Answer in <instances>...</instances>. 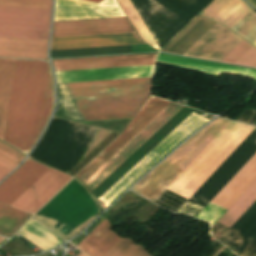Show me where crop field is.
I'll return each mask as SVG.
<instances>
[{
    "instance_id": "8a807250",
    "label": "crop field",
    "mask_w": 256,
    "mask_h": 256,
    "mask_svg": "<svg viewBox=\"0 0 256 256\" xmlns=\"http://www.w3.org/2000/svg\"><path fill=\"white\" fill-rule=\"evenodd\" d=\"M228 122L229 120L219 118L205 130L200 131V134L193 136L154 169L170 168L181 176L169 169H159L155 172L153 170L152 174L149 173L150 176L149 174L148 177L146 176L152 181L146 177L141 180L145 184L151 181L150 183L145 185L139 182L131 190L153 201L180 176L168 189L189 199L254 129L236 122ZM197 135L207 143L218 136L206 144Z\"/></svg>"
},
{
    "instance_id": "ac0d7876",
    "label": "crop field",
    "mask_w": 256,
    "mask_h": 256,
    "mask_svg": "<svg viewBox=\"0 0 256 256\" xmlns=\"http://www.w3.org/2000/svg\"><path fill=\"white\" fill-rule=\"evenodd\" d=\"M152 78L67 83L85 121L132 118L147 99ZM67 84H57V117L84 121Z\"/></svg>"
},
{
    "instance_id": "34b2d1b8",
    "label": "crop field",
    "mask_w": 256,
    "mask_h": 256,
    "mask_svg": "<svg viewBox=\"0 0 256 256\" xmlns=\"http://www.w3.org/2000/svg\"><path fill=\"white\" fill-rule=\"evenodd\" d=\"M35 61L17 60L4 142L20 150ZM54 106L48 62L36 61L21 152L28 154Z\"/></svg>"
},
{
    "instance_id": "412701ff",
    "label": "crop field",
    "mask_w": 256,
    "mask_h": 256,
    "mask_svg": "<svg viewBox=\"0 0 256 256\" xmlns=\"http://www.w3.org/2000/svg\"><path fill=\"white\" fill-rule=\"evenodd\" d=\"M48 169L27 158L16 172L0 184V202L10 206ZM71 178L70 175L50 168L11 206L33 215Z\"/></svg>"
},
{
    "instance_id": "f4fd0767",
    "label": "crop field",
    "mask_w": 256,
    "mask_h": 256,
    "mask_svg": "<svg viewBox=\"0 0 256 256\" xmlns=\"http://www.w3.org/2000/svg\"><path fill=\"white\" fill-rule=\"evenodd\" d=\"M157 54L53 61L55 70L154 65ZM154 66L56 71L57 83L152 77Z\"/></svg>"
},
{
    "instance_id": "dd49c442",
    "label": "crop field",
    "mask_w": 256,
    "mask_h": 256,
    "mask_svg": "<svg viewBox=\"0 0 256 256\" xmlns=\"http://www.w3.org/2000/svg\"><path fill=\"white\" fill-rule=\"evenodd\" d=\"M242 40L230 30L215 23L183 55L220 61ZM221 61L256 67V48L243 40Z\"/></svg>"
},
{
    "instance_id": "e52e79f7",
    "label": "crop field",
    "mask_w": 256,
    "mask_h": 256,
    "mask_svg": "<svg viewBox=\"0 0 256 256\" xmlns=\"http://www.w3.org/2000/svg\"><path fill=\"white\" fill-rule=\"evenodd\" d=\"M207 121L209 120L192 112L146 156H144L133 168H131L120 180H118L106 193L100 197L105 206L107 207L110 203H112L153 165H155L160 159H162L166 154H168L172 149H174Z\"/></svg>"
},
{
    "instance_id": "d8731c3e",
    "label": "crop field",
    "mask_w": 256,
    "mask_h": 256,
    "mask_svg": "<svg viewBox=\"0 0 256 256\" xmlns=\"http://www.w3.org/2000/svg\"><path fill=\"white\" fill-rule=\"evenodd\" d=\"M256 152V128L177 212L195 217Z\"/></svg>"
},
{
    "instance_id": "5a996713",
    "label": "crop field",
    "mask_w": 256,
    "mask_h": 256,
    "mask_svg": "<svg viewBox=\"0 0 256 256\" xmlns=\"http://www.w3.org/2000/svg\"><path fill=\"white\" fill-rule=\"evenodd\" d=\"M51 9L0 6V37L48 40Z\"/></svg>"
},
{
    "instance_id": "3316defc",
    "label": "crop field",
    "mask_w": 256,
    "mask_h": 256,
    "mask_svg": "<svg viewBox=\"0 0 256 256\" xmlns=\"http://www.w3.org/2000/svg\"><path fill=\"white\" fill-rule=\"evenodd\" d=\"M251 9L242 0H214L200 15L231 28L252 44L256 40V13Z\"/></svg>"
},
{
    "instance_id": "28ad6ade",
    "label": "crop field",
    "mask_w": 256,
    "mask_h": 256,
    "mask_svg": "<svg viewBox=\"0 0 256 256\" xmlns=\"http://www.w3.org/2000/svg\"><path fill=\"white\" fill-rule=\"evenodd\" d=\"M182 107L171 102L84 183L92 191Z\"/></svg>"
},
{
    "instance_id": "d1516ede",
    "label": "crop field",
    "mask_w": 256,
    "mask_h": 256,
    "mask_svg": "<svg viewBox=\"0 0 256 256\" xmlns=\"http://www.w3.org/2000/svg\"><path fill=\"white\" fill-rule=\"evenodd\" d=\"M256 179V153L216 195L211 203L229 208ZM209 203L196 218L208 221L212 227L227 208Z\"/></svg>"
},
{
    "instance_id": "22f410ed",
    "label": "crop field",
    "mask_w": 256,
    "mask_h": 256,
    "mask_svg": "<svg viewBox=\"0 0 256 256\" xmlns=\"http://www.w3.org/2000/svg\"><path fill=\"white\" fill-rule=\"evenodd\" d=\"M168 104L169 102L150 96L125 131L83 169L77 177L84 182Z\"/></svg>"
},
{
    "instance_id": "cbeb9de0",
    "label": "crop field",
    "mask_w": 256,
    "mask_h": 256,
    "mask_svg": "<svg viewBox=\"0 0 256 256\" xmlns=\"http://www.w3.org/2000/svg\"><path fill=\"white\" fill-rule=\"evenodd\" d=\"M96 4L79 0H56L54 21L124 16L116 0H104Z\"/></svg>"
},
{
    "instance_id": "5142ce71",
    "label": "crop field",
    "mask_w": 256,
    "mask_h": 256,
    "mask_svg": "<svg viewBox=\"0 0 256 256\" xmlns=\"http://www.w3.org/2000/svg\"><path fill=\"white\" fill-rule=\"evenodd\" d=\"M134 31L126 17L54 22L52 37Z\"/></svg>"
},
{
    "instance_id": "d9b57169",
    "label": "crop field",
    "mask_w": 256,
    "mask_h": 256,
    "mask_svg": "<svg viewBox=\"0 0 256 256\" xmlns=\"http://www.w3.org/2000/svg\"><path fill=\"white\" fill-rule=\"evenodd\" d=\"M135 32L52 38L51 50L139 44Z\"/></svg>"
},
{
    "instance_id": "733c2abd",
    "label": "crop field",
    "mask_w": 256,
    "mask_h": 256,
    "mask_svg": "<svg viewBox=\"0 0 256 256\" xmlns=\"http://www.w3.org/2000/svg\"><path fill=\"white\" fill-rule=\"evenodd\" d=\"M117 235L105 218L76 247L88 256H103L121 239Z\"/></svg>"
},
{
    "instance_id": "4a817a6b",
    "label": "crop field",
    "mask_w": 256,
    "mask_h": 256,
    "mask_svg": "<svg viewBox=\"0 0 256 256\" xmlns=\"http://www.w3.org/2000/svg\"><path fill=\"white\" fill-rule=\"evenodd\" d=\"M48 41L0 38V56L48 59Z\"/></svg>"
},
{
    "instance_id": "bc2a9ffb",
    "label": "crop field",
    "mask_w": 256,
    "mask_h": 256,
    "mask_svg": "<svg viewBox=\"0 0 256 256\" xmlns=\"http://www.w3.org/2000/svg\"><path fill=\"white\" fill-rule=\"evenodd\" d=\"M157 61L173 64L177 66L187 67L191 69H196V70H200V71H204V72L212 73L216 75H219L220 72H225V73L239 74V75H245V76L256 78V70L208 63L203 61H197V60H191V59H185V58H179V57H173V56H167V55H161V54L158 55Z\"/></svg>"
},
{
    "instance_id": "214f88e0",
    "label": "crop field",
    "mask_w": 256,
    "mask_h": 256,
    "mask_svg": "<svg viewBox=\"0 0 256 256\" xmlns=\"http://www.w3.org/2000/svg\"><path fill=\"white\" fill-rule=\"evenodd\" d=\"M16 60L0 59V139L3 140Z\"/></svg>"
},
{
    "instance_id": "92a150f3",
    "label": "crop field",
    "mask_w": 256,
    "mask_h": 256,
    "mask_svg": "<svg viewBox=\"0 0 256 256\" xmlns=\"http://www.w3.org/2000/svg\"><path fill=\"white\" fill-rule=\"evenodd\" d=\"M17 234L44 251L56 248L64 241L32 219Z\"/></svg>"
},
{
    "instance_id": "dafd665d",
    "label": "crop field",
    "mask_w": 256,
    "mask_h": 256,
    "mask_svg": "<svg viewBox=\"0 0 256 256\" xmlns=\"http://www.w3.org/2000/svg\"><path fill=\"white\" fill-rule=\"evenodd\" d=\"M30 217L0 203V234L10 238Z\"/></svg>"
},
{
    "instance_id": "00972430",
    "label": "crop field",
    "mask_w": 256,
    "mask_h": 256,
    "mask_svg": "<svg viewBox=\"0 0 256 256\" xmlns=\"http://www.w3.org/2000/svg\"><path fill=\"white\" fill-rule=\"evenodd\" d=\"M255 200L256 181L236 201V203L220 218L218 222L229 229Z\"/></svg>"
},
{
    "instance_id": "a9b5d70f",
    "label": "crop field",
    "mask_w": 256,
    "mask_h": 256,
    "mask_svg": "<svg viewBox=\"0 0 256 256\" xmlns=\"http://www.w3.org/2000/svg\"><path fill=\"white\" fill-rule=\"evenodd\" d=\"M131 53L130 45L51 51L52 58Z\"/></svg>"
},
{
    "instance_id": "4177f3b9",
    "label": "crop field",
    "mask_w": 256,
    "mask_h": 256,
    "mask_svg": "<svg viewBox=\"0 0 256 256\" xmlns=\"http://www.w3.org/2000/svg\"><path fill=\"white\" fill-rule=\"evenodd\" d=\"M119 4L121 5L122 9L124 10L126 16L128 17L129 21L139 34L142 40L148 43L157 51L159 50L155 42L153 41L152 37L150 36L149 32L147 31L146 27L142 23L141 19L139 18L138 14L134 10L133 6L131 5L129 0H118Z\"/></svg>"
},
{
    "instance_id": "730fd06b",
    "label": "crop field",
    "mask_w": 256,
    "mask_h": 256,
    "mask_svg": "<svg viewBox=\"0 0 256 256\" xmlns=\"http://www.w3.org/2000/svg\"><path fill=\"white\" fill-rule=\"evenodd\" d=\"M104 256H152L141 245L135 244L130 238H122Z\"/></svg>"
},
{
    "instance_id": "eef30255",
    "label": "crop field",
    "mask_w": 256,
    "mask_h": 256,
    "mask_svg": "<svg viewBox=\"0 0 256 256\" xmlns=\"http://www.w3.org/2000/svg\"><path fill=\"white\" fill-rule=\"evenodd\" d=\"M24 157L0 142V173L6 176Z\"/></svg>"
},
{
    "instance_id": "ae1a2a85",
    "label": "crop field",
    "mask_w": 256,
    "mask_h": 256,
    "mask_svg": "<svg viewBox=\"0 0 256 256\" xmlns=\"http://www.w3.org/2000/svg\"><path fill=\"white\" fill-rule=\"evenodd\" d=\"M0 5L51 8L52 0H0Z\"/></svg>"
},
{
    "instance_id": "d3111659",
    "label": "crop field",
    "mask_w": 256,
    "mask_h": 256,
    "mask_svg": "<svg viewBox=\"0 0 256 256\" xmlns=\"http://www.w3.org/2000/svg\"><path fill=\"white\" fill-rule=\"evenodd\" d=\"M256 9V0H247Z\"/></svg>"
},
{
    "instance_id": "750c4746",
    "label": "crop field",
    "mask_w": 256,
    "mask_h": 256,
    "mask_svg": "<svg viewBox=\"0 0 256 256\" xmlns=\"http://www.w3.org/2000/svg\"><path fill=\"white\" fill-rule=\"evenodd\" d=\"M225 247L223 246L214 256H218Z\"/></svg>"
},
{
    "instance_id": "bd1437ed",
    "label": "crop field",
    "mask_w": 256,
    "mask_h": 256,
    "mask_svg": "<svg viewBox=\"0 0 256 256\" xmlns=\"http://www.w3.org/2000/svg\"><path fill=\"white\" fill-rule=\"evenodd\" d=\"M4 177H5V176H3V175L0 174V181H1Z\"/></svg>"
},
{
    "instance_id": "1d83c4d3",
    "label": "crop field",
    "mask_w": 256,
    "mask_h": 256,
    "mask_svg": "<svg viewBox=\"0 0 256 256\" xmlns=\"http://www.w3.org/2000/svg\"><path fill=\"white\" fill-rule=\"evenodd\" d=\"M78 256H85V255L80 252V253L78 254Z\"/></svg>"
},
{
    "instance_id": "120bbe31",
    "label": "crop field",
    "mask_w": 256,
    "mask_h": 256,
    "mask_svg": "<svg viewBox=\"0 0 256 256\" xmlns=\"http://www.w3.org/2000/svg\"><path fill=\"white\" fill-rule=\"evenodd\" d=\"M90 1H95V2H99L100 0H90Z\"/></svg>"
},
{
    "instance_id": "d32e631a",
    "label": "crop field",
    "mask_w": 256,
    "mask_h": 256,
    "mask_svg": "<svg viewBox=\"0 0 256 256\" xmlns=\"http://www.w3.org/2000/svg\"><path fill=\"white\" fill-rule=\"evenodd\" d=\"M252 45H254L256 47V41Z\"/></svg>"
}]
</instances>
